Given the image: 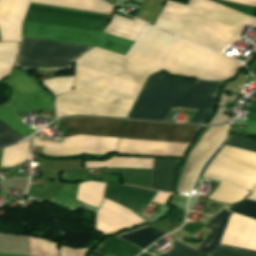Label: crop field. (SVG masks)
Returning a JSON list of instances; mask_svg holds the SVG:
<instances>
[{
    "label": "crop field",
    "instance_id": "32",
    "mask_svg": "<svg viewBox=\"0 0 256 256\" xmlns=\"http://www.w3.org/2000/svg\"><path fill=\"white\" fill-rule=\"evenodd\" d=\"M175 217H180L182 220L179 223L182 224L183 221H184V218H185V211L174 208V211L172 212V214L170 216H168L167 218H165L164 220H166V221H168V222H170V223L180 227L181 225L176 224V223L173 222V219Z\"/></svg>",
    "mask_w": 256,
    "mask_h": 256
},
{
    "label": "crop field",
    "instance_id": "14",
    "mask_svg": "<svg viewBox=\"0 0 256 256\" xmlns=\"http://www.w3.org/2000/svg\"><path fill=\"white\" fill-rule=\"evenodd\" d=\"M175 160L155 159L151 189L171 192Z\"/></svg>",
    "mask_w": 256,
    "mask_h": 256
},
{
    "label": "crop field",
    "instance_id": "17",
    "mask_svg": "<svg viewBox=\"0 0 256 256\" xmlns=\"http://www.w3.org/2000/svg\"><path fill=\"white\" fill-rule=\"evenodd\" d=\"M34 3L110 14L113 8L100 0H31Z\"/></svg>",
    "mask_w": 256,
    "mask_h": 256
},
{
    "label": "crop field",
    "instance_id": "5",
    "mask_svg": "<svg viewBox=\"0 0 256 256\" xmlns=\"http://www.w3.org/2000/svg\"><path fill=\"white\" fill-rule=\"evenodd\" d=\"M89 48L91 47L22 38L16 66L67 68Z\"/></svg>",
    "mask_w": 256,
    "mask_h": 256
},
{
    "label": "crop field",
    "instance_id": "7",
    "mask_svg": "<svg viewBox=\"0 0 256 256\" xmlns=\"http://www.w3.org/2000/svg\"><path fill=\"white\" fill-rule=\"evenodd\" d=\"M13 89L10 101L5 105L13 112L21 110H52V96L26 73L14 69L12 76L4 81Z\"/></svg>",
    "mask_w": 256,
    "mask_h": 256
},
{
    "label": "crop field",
    "instance_id": "23",
    "mask_svg": "<svg viewBox=\"0 0 256 256\" xmlns=\"http://www.w3.org/2000/svg\"><path fill=\"white\" fill-rule=\"evenodd\" d=\"M17 49L18 43H0V79L10 71Z\"/></svg>",
    "mask_w": 256,
    "mask_h": 256
},
{
    "label": "crop field",
    "instance_id": "4",
    "mask_svg": "<svg viewBox=\"0 0 256 256\" xmlns=\"http://www.w3.org/2000/svg\"><path fill=\"white\" fill-rule=\"evenodd\" d=\"M141 86L76 67L75 90L55 104L88 115L126 117Z\"/></svg>",
    "mask_w": 256,
    "mask_h": 256
},
{
    "label": "crop field",
    "instance_id": "30",
    "mask_svg": "<svg viewBox=\"0 0 256 256\" xmlns=\"http://www.w3.org/2000/svg\"><path fill=\"white\" fill-rule=\"evenodd\" d=\"M22 139L23 138L15 131L0 121V146H4L7 145V143H13Z\"/></svg>",
    "mask_w": 256,
    "mask_h": 256
},
{
    "label": "crop field",
    "instance_id": "16",
    "mask_svg": "<svg viewBox=\"0 0 256 256\" xmlns=\"http://www.w3.org/2000/svg\"><path fill=\"white\" fill-rule=\"evenodd\" d=\"M155 256H206L204 254L193 251L181 243L166 254H159ZM208 256H256V252L242 250L238 248L220 245Z\"/></svg>",
    "mask_w": 256,
    "mask_h": 256
},
{
    "label": "crop field",
    "instance_id": "26",
    "mask_svg": "<svg viewBox=\"0 0 256 256\" xmlns=\"http://www.w3.org/2000/svg\"><path fill=\"white\" fill-rule=\"evenodd\" d=\"M223 144H227V145H231V146H235V147H239V148H243V149H247V150L256 152V140H252V139H248V138H244V137L230 136L227 138V140L225 142H223ZM223 144L210 157V159L204 165L199 176H202V174H203L204 170L207 168L209 162L216 156V154L219 152V150L224 146Z\"/></svg>",
    "mask_w": 256,
    "mask_h": 256
},
{
    "label": "crop field",
    "instance_id": "3",
    "mask_svg": "<svg viewBox=\"0 0 256 256\" xmlns=\"http://www.w3.org/2000/svg\"><path fill=\"white\" fill-rule=\"evenodd\" d=\"M221 83L182 80L157 73L147 79L129 118L163 121L169 109L198 110L191 122L203 123Z\"/></svg>",
    "mask_w": 256,
    "mask_h": 256
},
{
    "label": "crop field",
    "instance_id": "1",
    "mask_svg": "<svg viewBox=\"0 0 256 256\" xmlns=\"http://www.w3.org/2000/svg\"><path fill=\"white\" fill-rule=\"evenodd\" d=\"M66 128L63 138L87 134L142 139L191 142L201 126L168 125L149 122L69 118L58 122ZM71 136L61 142L33 138V146L45 155L105 154L112 151L165 156H182L189 143L101 136Z\"/></svg>",
    "mask_w": 256,
    "mask_h": 256
},
{
    "label": "crop field",
    "instance_id": "37",
    "mask_svg": "<svg viewBox=\"0 0 256 256\" xmlns=\"http://www.w3.org/2000/svg\"><path fill=\"white\" fill-rule=\"evenodd\" d=\"M145 253L143 252L140 256H149V255H147L148 253L147 254H145Z\"/></svg>",
    "mask_w": 256,
    "mask_h": 256
},
{
    "label": "crop field",
    "instance_id": "19",
    "mask_svg": "<svg viewBox=\"0 0 256 256\" xmlns=\"http://www.w3.org/2000/svg\"><path fill=\"white\" fill-rule=\"evenodd\" d=\"M29 139L3 149L0 167L15 166L29 157Z\"/></svg>",
    "mask_w": 256,
    "mask_h": 256
},
{
    "label": "crop field",
    "instance_id": "2",
    "mask_svg": "<svg viewBox=\"0 0 256 256\" xmlns=\"http://www.w3.org/2000/svg\"><path fill=\"white\" fill-rule=\"evenodd\" d=\"M22 37L95 46L125 56L133 41L104 33L24 22ZM93 47L76 60V66L137 85L159 71L122 59L123 56Z\"/></svg>",
    "mask_w": 256,
    "mask_h": 256
},
{
    "label": "crop field",
    "instance_id": "13",
    "mask_svg": "<svg viewBox=\"0 0 256 256\" xmlns=\"http://www.w3.org/2000/svg\"><path fill=\"white\" fill-rule=\"evenodd\" d=\"M145 26L146 24L136 19L132 21L114 15L104 33L135 41Z\"/></svg>",
    "mask_w": 256,
    "mask_h": 256
},
{
    "label": "crop field",
    "instance_id": "22",
    "mask_svg": "<svg viewBox=\"0 0 256 256\" xmlns=\"http://www.w3.org/2000/svg\"><path fill=\"white\" fill-rule=\"evenodd\" d=\"M109 248L126 256H131L139 250V248L125 243L115 237H108L99 243L98 247L94 250V253L102 256Z\"/></svg>",
    "mask_w": 256,
    "mask_h": 256
},
{
    "label": "crop field",
    "instance_id": "38",
    "mask_svg": "<svg viewBox=\"0 0 256 256\" xmlns=\"http://www.w3.org/2000/svg\"><path fill=\"white\" fill-rule=\"evenodd\" d=\"M66 209V208H65ZM73 211V210H72Z\"/></svg>",
    "mask_w": 256,
    "mask_h": 256
},
{
    "label": "crop field",
    "instance_id": "21",
    "mask_svg": "<svg viewBox=\"0 0 256 256\" xmlns=\"http://www.w3.org/2000/svg\"><path fill=\"white\" fill-rule=\"evenodd\" d=\"M163 235L165 234L148 227L120 238L145 249Z\"/></svg>",
    "mask_w": 256,
    "mask_h": 256
},
{
    "label": "crop field",
    "instance_id": "6",
    "mask_svg": "<svg viewBox=\"0 0 256 256\" xmlns=\"http://www.w3.org/2000/svg\"><path fill=\"white\" fill-rule=\"evenodd\" d=\"M108 16L31 3L24 21L103 32Z\"/></svg>",
    "mask_w": 256,
    "mask_h": 256
},
{
    "label": "crop field",
    "instance_id": "8",
    "mask_svg": "<svg viewBox=\"0 0 256 256\" xmlns=\"http://www.w3.org/2000/svg\"><path fill=\"white\" fill-rule=\"evenodd\" d=\"M153 159L113 157L105 162H86V168L138 167L151 168ZM151 169L124 168V184L149 189Z\"/></svg>",
    "mask_w": 256,
    "mask_h": 256
},
{
    "label": "crop field",
    "instance_id": "34",
    "mask_svg": "<svg viewBox=\"0 0 256 256\" xmlns=\"http://www.w3.org/2000/svg\"><path fill=\"white\" fill-rule=\"evenodd\" d=\"M204 224L200 223H191L190 225L186 224L182 229L193 234L200 231L203 228Z\"/></svg>",
    "mask_w": 256,
    "mask_h": 256
},
{
    "label": "crop field",
    "instance_id": "35",
    "mask_svg": "<svg viewBox=\"0 0 256 256\" xmlns=\"http://www.w3.org/2000/svg\"><path fill=\"white\" fill-rule=\"evenodd\" d=\"M170 194L168 193H159L155 199L153 200L154 202L162 203L165 204V202L168 200Z\"/></svg>",
    "mask_w": 256,
    "mask_h": 256
},
{
    "label": "crop field",
    "instance_id": "27",
    "mask_svg": "<svg viewBox=\"0 0 256 256\" xmlns=\"http://www.w3.org/2000/svg\"><path fill=\"white\" fill-rule=\"evenodd\" d=\"M30 246L32 256H57L54 243L30 237Z\"/></svg>",
    "mask_w": 256,
    "mask_h": 256
},
{
    "label": "crop field",
    "instance_id": "25",
    "mask_svg": "<svg viewBox=\"0 0 256 256\" xmlns=\"http://www.w3.org/2000/svg\"><path fill=\"white\" fill-rule=\"evenodd\" d=\"M9 110V109H8ZM3 106L0 107V119L6 123L9 127L13 128L18 133L26 136L31 132L35 131L28 127L27 125L23 124L21 119L17 117L15 114L8 111Z\"/></svg>",
    "mask_w": 256,
    "mask_h": 256
},
{
    "label": "crop field",
    "instance_id": "9",
    "mask_svg": "<svg viewBox=\"0 0 256 256\" xmlns=\"http://www.w3.org/2000/svg\"><path fill=\"white\" fill-rule=\"evenodd\" d=\"M141 223L145 222L137 215L105 199L96 214V230L104 234Z\"/></svg>",
    "mask_w": 256,
    "mask_h": 256
},
{
    "label": "crop field",
    "instance_id": "24",
    "mask_svg": "<svg viewBox=\"0 0 256 256\" xmlns=\"http://www.w3.org/2000/svg\"><path fill=\"white\" fill-rule=\"evenodd\" d=\"M163 2L164 0H143L135 17L153 25Z\"/></svg>",
    "mask_w": 256,
    "mask_h": 256
},
{
    "label": "crop field",
    "instance_id": "18",
    "mask_svg": "<svg viewBox=\"0 0 256 256\" xmlns=\"http://www.w3.org/2000/svg\"><path fill=\"white\" fill-rule=\"evenodd\" d=\"M105 183L85 182L79 184L77 199L99 207L103 199Z\"/></svg>",
    "mask_w": 256,
    "mask_h": 256
},
{
    "label": "crop field",
    "instance_id": "31",
    "mask_svg": "<svg viewBox=\"0 0 256 256\" xmlns=\"http://www.w3.org/2000/svg\"><path fill=\"white\" fill-rule=\"evenodd\" d=\"M243 133L256 135V114L255 113H251V112L249 113L246 127Z\"/></svg>",
    "mask_w": 256,
    "mask_h": 256
},
{
    "label": "crop field",
    "instance_id": "29",
    "mask_svg": "<svg viewBox=\"0 0 256 256\" xmlns=\"http://www.w3.org/2000/svg\"><path fill=\"white\" fill-rule=\"evenodd\" d=\"M230 212H234L240 215L251 217L256 219V203L244 200L242 202L236 203L227 209Z\"/></svg>",
    "mask_w": 256,
    "mask_h": 256
},
{
    "label": "crop field",
    "instance_id": "36",
    "mask_svg": "<svg viewBox=\"0 0 256 256\" xmlns=\"http://www.w3.org/2000/svg\"><path fill=\"white\" fill-rule=\"evenodd\" d=\"M117 0H105V2H107L108 4H110L111 6L114 7L115 3Z\"/></svg>",
    "mask_w": 256,
    "mask_h": 256
},
{
    "label": "crop field",
    "instance_id": "33",
    "mask_svg": "<svg viewBox=\"0 0 256 256\" xmlns=\"http://www.w3.org/2000/svg\"><path fill=\"white\" fill-rule=\"evenodd\" d=\"M88 249L71 250L66 247H61L62 256H84Z\"/></svg>",
    "mask_w": 256,
    "mask_h": 256
},
{
    "label": "crop field",
    "instance_id": "15",
    "mask_svg": "<svg viewBox=\"0 0 256 256\" xmlns=\"http://www.w3.org/2000/svg\"><path fill=\"white\" fill-rule=\"evenodd\" d=\"M230 214V212L224 210L219 216L209 221L205 227L212 230L198 248V251L208 254L219 244Z\"/></svg>",
    "mask_w": 256,
    "mask_h": 256
},
{
    "label": "crop field",
    "instance_id": "10",
    "mask_svg": "<svg viewBox=\"0 0 256 256\" xmlns=\"http://www.w3.org/2000/svg\"><path fill=\"white\" fill-rule=\"evenodd\" d=\"M29 0H0L2 41H20V26Z\"/></svg>",
    "mask_w": 256,
    "mask_h": 256
},
{
    "label": "crop field",
    "instance_id": "20",
    "mask_svg": "<svg viewBox=\"0 0 256 256\" xmlns=\"http://www.w3.org/2000/svg\"><path fill=\"white\" fill-rule=\"evenodd\" d=\"M248 193L247 190L221 182L209 199L233 204L243 199Z\"/></svg>",
    "mask_w": 256,
    "mask_h": 256
},
{
    "label": "crop field",
    "instance_id": "11",
    "mask_svg": "<svg viewBox=\"0 0 256 256\" xmlns=\"http://www.w3.org/2000/svg\"><path fill=\"white\" fill-rule=\"evenodd\" d=\"M253 222L252 219L232 213L221 243L243 248ZM244 248L256 251V221Z\"/></svg>",
    "mask_w": 256,
    "mask_h": 256
},
{
    "label": "crop field",
    "instance_id": "12",
    "mask_svg": "<svg viewBox=\"0 0 256 256\" xmlns=\"http://www.w3.org/2000/svg\"><path fill=\"white\" fill-rule=\"evenodd\" d=\"M156 193L140 188L107 183L105 197L137 211L141 203L148 205Z\"/></svg>",
    "mask_w": 256,
    "mask_h": 256
},
{
    "label": "crop field",
    "instance_id": "28",
    "mask_svg": "<svg viewBox=\"0 0 256 256\" xmlns=\"http://www.w3.org/2000/svg\"><path fill=\"white\" fill-rule=\"evenodd\" d=\"M43 84L56 96L68 92L73 88V77L52 78L43 81Z\"/></svg>",
    "mask_w": 256,
    "mask_h": 256
}]
</instances>
